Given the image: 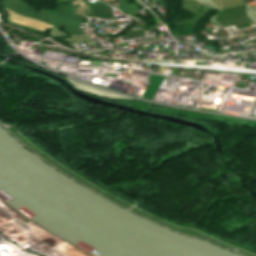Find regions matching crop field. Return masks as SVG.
I'll list each match as a JSON object with an SVG mask.
<instances>
[{"label": "crop field", "mask_w": 256, "mask_h": 256, "mask_svg": "<svg viewBox=\"0 0 256 256\" xmlns=\"http://www.w3.org/2000/svg\"><path fill=\"white\" fill-rule=\"evenodd\" d=\"M76 87L82 89V90H86V91H89L91 93H94V94H100V95H105V96H108V97H120V98H126V97H123V96H120V95H117V94H114V93H110V92H107V91H103V90H98V89H94L90 86H87V85H83V84H80V83H77L75 81H72L70 80Z\"/></svg>", "instance_id": "8a807250"}]
</instances>
